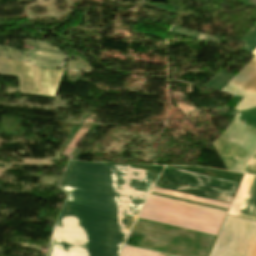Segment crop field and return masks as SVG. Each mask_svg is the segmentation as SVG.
I'll list each match as a JSON object with an SVG mask.
<instances>
[{
  "label": "crop field",
  "mask_w": 256,
  "mask_h": 256,
  "mask_svg": "<svg viewBox=\"0 0 256 256\" xmlns=\"http://www.w3.org/2000/svg\"><path fill=\"white\" fill-rule=\"evenodd\" d=\"M133 221L66 202L55 227L51 246L95 251H79L50 247L48 256H118L133 226Z\"/></svg>",
  "instance_id": "ac0d7876"
},
{
  "label": "crop field",
  "mask_w": 256,
  "mask_h": 256,
  "mask_svg": "<svg viewBox=\"0 0 256 256\" xmlns=\"http://www.w3.org/2000/svg\"><path fill=\"white\" fill-rule=\"evenodd\" d=\"M139 217L216 236L225 216L148 198Z\"/></svg>",
  "instance_id": "412701ff"
},
{
  "label": "crop field",
  "mask_w": 256,
  "mask_h": 256,
  "mask_svg": "<svg viewBox=\"0 0 256 256\" xmlns=\"http://www.w3.org/2000/svg\"><path fill=\"white\" fill-rule=\"evenodd\" d=\"M255 106L256 99L244 97L234 110L240 112ZM239 114L244 118V120L249 125L256 126V107L240 112ZM239 114H237L231 121V123L233 124L231 125V123H229V125L226 127L223 133L213 143L221 158L223 159L224 163L226 164L227 168L230 171L237 163V161L240 159V157H246L248 151H250L247 157H241V159L232 169V171L235 172H240L244 165L248 162V160L256 151V135H254L256 134V127L250 126L248 129V132L254 134L246 132L249 125L243 120V118ZM227 135L229 142L237 146H240L248 151L227 142Z\"/></svg>",
  "instance_id": "34b2d1b8"
},
{
  "label": "crop field",
  "mask_w": 256,
  "mask_h": 256,
  "mask_svg": "<svg viewBox=\"0 0 256 256\" xmlns=\"http://www.w3.org/2000/svg\"><path fill=\"white\" fill-rule=\"evenodd\" d=\"M241 172H243V173H250V174H256V153L249 160V162L246 164V166L242 169Z\"/></svg>",
  "instance_id": "22f410ed"
},
{
  "label": "crop field",
  "mask_w": 256,
  "mask_h": 256,
  "mask_svg": "<svg viewBox=\"0 0 256 256\" xmlns=\"http://www.w3.org/2000/svg\"><path fill=\"white\" fill-rule=\"evenodd\" d=\"M223 91L256 97V56L232 78Z\"/></svg>",
  "instance_id": "5a996713"
},
{
  "label": "crop field",
  "mask_w": 256,
  "mask_h": 256,
  "mask_svg": "<svg viewBox=\"0 0 256 256\" xmlns=\"http://www.w3.org/2000/svg\"><path fill=\"white\" fill-rule=\"evenodd\" d=\"M253 177L254 176L245 175L228 214L237 215Z\"/></svg>",
  "instance_id": "28ad6ade"
},
{
  "label": "crop field",
  "mask_w": 256,
  "mask_h": 256,
  "mask_svg": "<svg viewBox=\"0 0 256 256\" xmlns=\"http://www.w3.org/2000/svg\"><path fill=\"white\" fill-rule=\"evenodd\" d=\"M237 216L256 220V176L251 183Z\"/></svg>",
  "instance_id": "3316defc"
},
{
  "label": "crop field",
  "mask_w": 256,
  "mask_h": 256,
  "mask_svg": "<svg viewBox=\"0 0 256 256\" xmlns=\"http://www.w3.org/2000/svg\"><path fill=\"white\" fill-rule=\"evenodd\" d=\"M24 54L25 51H21L13 47L0 46V56L22 59Z\"/></svg>",
  "instance_id": "d1516ede"
},
{
  "label": "crop field",
  "mask_w": 256,
  "mask_h": 256,
  "mask_svg": "<svg viewBox=\"0 0 256 256\" xmlns=\"http://www.w3.org/2000/svg\"><path fill=\"white\" fill-rule=\"evenodd\" d=\"M239 184L165 167L156 186L230 204Z\"/></svg>",
  "instance_id": "f4fd0767"
},
{
  "label": "crop field",
  "mask_w": 256,
  "mask_h": 256,
  "mask_svg": "<svg viewBox=\"0 0 256 256\" xmlns=\"http://www.w3.org/2000/svg\"><path fill=\"white\" fill-rule=\"evenodd\" d=\"M253 256H256V250H255V252H254V255Z\"/></svg>",
  "instance_id": "cbeb9de0"
},
{
  "label": "crop field",
  "mask_w": 256,
  "mask_h": 256,
  "mask_svg": "<svg viewBox=\"0 0 256 256\" xmlns=\"http://www.w3.org/2000/svg\"><path fill=\"white\" fill-rule=\"evenodd\" d=\"M157 177L129 165L70 161L60 188L68 201L135 221Z\"/></svg>",
  "instance_id": "8a807250"
},
{
  "label": "crop field",
  "mask_w": 256,
  "mask_h": 256,
  "mask_svg": "<svg viewBox=\"0 0 256 256\" xmlns=\"http://www.w3.org/2000/svg\"><path fill=\"white\" fill-rule=\"evenodd\" d=\"M256 223L227 216L210 256H252Z\"/></svg>",
  "instance_id": "dd49c442"
},
{
  "label": "crop field",
  "mask_w": 256,
  "mask_h": 256,
  "mask_svg": "<svg viewBox=\"0 0 256 256\" xmlns=\"http://www.w3.org/2000/svg\"><path fill=\"white\" fill-rule=\"evenodd\" d=\"M63 70L0 58V73L17 75L23 93L55 96Z\"/></svg>",
  "instance_id": "e52e79f7"
},
{
  "label": "crop field",
  "mask_w": 256,
  "mask_h": 256,
  "mask_svg": "<svg viewBox=\"0 0 256 256\" xmlns=\"http://www.w3.org/2000/svg\"><path fill=\"white\" fill-rule=\"evenodd\" d=\"M25 44L34 46L33 50H28L27 56L24 59L25 61L63 68L67 56L58 48L48 43L28 39H26Z\"/></svg>",
  "instance_id": "d8731c3e"
}]
</instances>
